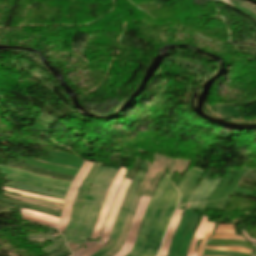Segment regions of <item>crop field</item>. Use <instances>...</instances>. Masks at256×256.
Masks as SVG:
<instances>
[{
	"label": "crop field",
	"instance_id": "crop-field-1",
	"mask_svg": "<svg viewBox=\"0 0 256 256\" xmlns=\"http://www.w3.org/2000/svg\"><path fill=\"white\" fill-rule=\"evenodd\" d=\"M202 174V170L195 168L188 170L176 189L173 186V182H169L157 205L146 243L137 256H156L174 209H184L192 190Z\"/></svg>",
	"mask_w": 256,
	"mask_h": 256
},
{
	"label": "crop field",
	"instance_id": "crop-field-2",
	"mask_svg": "<svg viewBox=\"0 0 256 256\" xmlns=\"http://www.w3.org/2000/svg\"><path fill=\"white\" fill-rule=\"evenodd\" d=\"M118 170L103 167L90 188L89 195L83 204L77 227L67 244L72 251L84 244L89 238L98 211L102 205L106 190ZM73 253V252H72Z\"/></svg>",
	"mask_w": 256,
	"mask_h": 256
},
{
	"label": "crop field",
	"instance_id": "crop-field-3",
	"mask_svg": "<svg viewBox=\"0 0 256 256\" xmlns=\"http://www.w3.org/2000/svg\"><path fill=\"white\" fill-rule=\"evenodd\" d=\"M0 169L1 174L6 175L5 179L22 184H28L64 193H66V190L70 185L69 182L33 175L14 167L0 165Z\"/></svg>",
	"mask_w": 256,
	"mask_h": 256
},
{
	"label": "crop field",
	"instance_id": "crop-field-4",
	"mask_svg": "<svg viewBox=\"0 0 256 256\" xmlns=\"http://www.w3.org/2000/svg\"><path fill=\"white\" fill-rule=\"evenodd\" d=\"M143 175H144V172H140V171H138V173L136 174L134 180L132 181V183L130 184V186L127 190L124 203H123V205L119 211V214L117 216V219H116V222H115V225H114V228H113V231L110 236L108 244L104 248H102L98 252H96L93 256H102L107 251H109L111 248H113L114 244L117 242L123 222L125 220V217H126V214H127L128 208H129V205L131 203L134 191Z\"/></svg>",
	"mask_w": 256,
	"mask_h": 256
},
{
	"label": "crop field",
	"instance_id": "crop-field-5",
	"mask_svg": "<svg viewBox=\"0 0 256 256\" xmlns=\"http://www.w3.org/2000/svg\"><path fill=\"white\" fill-rule=\"evenodd\" d=\"M171 177L172 176L164 175L163 179L161 180L160 184L158 185V187L150 201V204L148 206V209H147L146 215L144 217L142 226L140 228L138 237L136 239L135 245H134L131 253L127 256H136L139 253V251L141 250V248L143 247V245L145 243L146 235H147V232H148V229L150 226L153 212L156 208V205L162 195V192H163L165 186L170 181Z\"/></svg>",
	"mask_w": 256,
	"mask_h": 256
},
{
	"label": "crop field",
	"instance_id": "crop-field-6",
	"mask_svg": "<svg viewBox=\"0 0 256 256\" xmlns=\"http://www.w3.org/2000/svg\"><path fill=\"white\" fill-rule=\"evenodd\" d=\"M129 183H130V180L125 178L124 181L122 182L121 186L119 187V192L117 191L118 192L117 197H116V199L113 203V206L111 208V211L106 219V224L104 226L103 235H102L100 241L94 247L89 249L87 252H85L81 256H91L94 252L99 250L101 247H103L107 243L111 229H112L114 219H115L117 211L122 203L123 197L125 195V192H126V189L129 185ZM101 240H103L104 243L100 244Z\"/></svg>",
	"mask_w": 256,
	"mask_h": 256
},
{
	"label": "crop field",
	"instance_id": "crop-field-7",
	"mask_svg": "<svg viewBox=\"0 0 256 256\" xmlns=\"http://www.w3.org/2000/svg\"><path fill=\"white\" fill-rule=\"evenodd\" d=\"M102 165L99 164H95L94 167L92 168V170L90 171V173L88 174L85 182L83 183V185L81 186L80 190L84 191V193H80V190L74 200V204H73V210H72V215H71V219L70 222L63 234L65 240H67L72 232L73 229L76 225L77 219L79 217L80 214V209H81V205L87 195V190L92 182V180L96 177L97 173L99 172V170L101 169Z\"/></svg>",
	"mask_w": 256,
	"mask_h": 256
},
{
	"label": "crop field",
	"instance_id": "crop-field-8",
	"mask_svg": "<svg viewBox=\"0 0 256 256\" xmlns=\"http://www.w3.org/2000/svg\"><path fill=\"white\" fill-rule=\"evenodd\" d=\"M221 181V178L215 177L213 181L203 177L198 186L194 189L191 198L185 209H203L210 194Z\"/></svg>",
	"mask_w": 256,
	"mask_h": 256
},
{
	"label": "crop field",
	"instance_id": "crop-field-9",
	"mask_svg": "<svg viewBox=\"0 0 256 256\" xmlns=\"http://www.w3.org/2000/svg\"><path fill=\"white\" fill-rule=\"evenodd\" d=\"M93 165H94V163L87 162V161L85 162V164L82 166L80 172L76 176L74 182L72 183V185L67 193L63 214H62V217H61L59 225H58V229H59L60 233L63 232V230L68 222L72 203H73V200L77 193V189L79 188L81 182L86 177V175L88 174V172L90 171V169L92 168Z\"/></svg>",
	"mask_w": 256,
	"mask_h": 256
},
{
	"label": "crop field",
	"instance_id": "crop-field-10",
	"mask_svg": "<svg viewBox=\"0 0 256 256\" xmlns=\"http://www.w3.org/2000/svg\"><path fill=\"white\" fill-rule=\"evenodd\" d=\"M127 169L125 168H120L118 174L116 175L109 191H108V194L106 196V199L103 203V206H102V209L100 211V214H99V217H98V220H97V224H96V227H95V230L93 232V235L91 237V239H96L97 237H100L102 231H103V224H104V220L110 210V207L114 201V197H115V193H116V190L125 174Z\"/></svg>",
	"mask_w": 256,
	"mask_h": 256
},
{
	"label": "crop field",
	"instance_id": "crop-field-11",
	"mask_svg": "<svg viewBox=\"0 0 256 256\" xmlns=\"http://www.w3.org/2000/svg\"><path fill=\"white\" fill-rule=\"evenodd\" d=\"M142 197L143 196H139V195H135L134 200L132 202V205L130 207V210L128 212V215L126 217L125 223L123 225L119 240L117 242V244L115 245V247L113 249H111L106 255L104 256H114L116 255L120 249L123 247L125 240L128 236L132 221L135 217V214L139 208V205L142 201Z\"/></svg>",
	"mask_w": 256,
	"mask_h": 256
},
{
	"label": "crop field",
	"instance_id": "crop-field-12",
	"mask_svg": "<svg viewBox=\"0 0 256 256\" xmlns=\"http://www.w3.org/2000/svg\"><path fill=\"white\" fill-rule=\"evenodd\" d=\"M214 223L207 222V217L202 216V219L200 221L199 227L193 237L191 246L189 248L187 256H201L202 255V248L204 245V242L210 237ZM215 228V227H214ZM201 243L199 244L198 251L195 254V248H196V243L198 240L202 239Z\"/></svg>",
	"mask_w": 256,
	"mask_h": 256
},
{
	"label": "crop field",
	"instance_id": "crop-field-13",
	"mask_svg": "<svg viewBox=\"0 0 256 256\" xmlns=\"http://www.w3.org/2000/svg\"><path fill=\"white\" fill-rule=\"evenodd\" d=\"M21 217L25 221L35 222L56 229L60 218L21 209Z\"/></svg>",
	"mask_w": 256,
	"mask_h": 256
},
{
	"label": "crop field",
	"instance_id": "crop-field-14",
	"mask_svg": "<svg viewBox=\"0 0 256 256\" xmlns=\"http://www.w3.org/2000/svg\"><path fill=\"white\" fill-rule=\"evenodd\" d=\"M181 213H182V211H179V210L175 211L174 216L169 225V228L164 236L163 244H162V247L160 249V253L158 256H166L167 255L171 237L180 221Z\"/></svg>",
	"mask_w": 256,
	"mask_h": 256
},
{
	"label": "crop field",
	"instance_id": "crop-field-15",
	"mask_svg": "<svg viewBox=\"0 0 256 256\" xmlns=\"http://www.w3.org/2000/svg\"><path fill=\"white\" fill-rule=\"evenodd\" d=\"M9 165H13V166H17L19 168H22L24 170H27L29 172H32L34 174H38V175H43V176H47V177H52V178H58V179H63V180H69L72 181L73 177L71 176H66V175H61V174H56V173H51V172H47L26 164H22V163H18V162H14V161H9L8 163Z\"/></svg>",
	"mask_w": 256,
	"mask_h": 256
},
{
	"label": "crop field",
	"instance_id": "crop-field-16",
	"mask_svg": "<svg viewBox=\"0 0 256 256\" xmlns=\"http://www.w3.org/2000/svg\"><path fill=\"white\" fill-rule=\"evenodd\" d=\"M6 185L16 187V188H19V189H23V190H27V191H31V192H35V193H40V194L52 196V197L62 198V199H64V196H65L64 194L51 192V191H47V190H43V189H39V188H34V187H30V186L10 182V181Z\"/></svg>",
	"mask_w": 256,
	"mask_h": 256
},
{
	"label": "crop field",
	"instance_id": "crop-field-17",
	"mask_svg": "<svg viewBox=\"0 0 256 256\" xmlns=\"http://www.w3.org/2000/svg\"><path fill=\"white\" fill-rule=\"evenodd\" d=\"M229 229V230H223ZM215 234L236 235L235 225H218Z\"/></svg>",
	"mask_w": 256,
	"mask_h": 256
},
{
	"label": "crop field",
	"instance_id": "crop-field-18",
	"mask_svg": "<svg viewBox=\"0 0 256 256\" xmlns=\"http://www.w3.org/2000/svg\"><path fill=\"white\" fill-rule=\"evenodd\" d=\"M205 249H213V250H225V251H239V252H244L251 254L252 251L246 248H241V247H215V246H206Z\"/></svg>",
	"mask_w": 256,
	"mask_h": 256
},
{
	"label": "crop field",
	"instance_id": "crop-field-19",
	"mask_svg": "<svg viewBox=\"0 0 256 256\" xmlns=\"http://www.w3.org/2000/svg\"><path fill=\"white\" fill-rule=\"evenodd\" d=\"M53 253L59 256H68L69 254H71L65 244L61 248L54 251Z\"/></svg>",
	"mask_w": 256,
	"mask_h": 256
},
{
	"label": "crop field",
	"instance_id": "crop-field-20",
	"mask_svg": "<svg viewBox=\"0 0 256 256\" xmlns=\"http://www.w3.org/2000/svg\"><path fill=\"white\" fill-rule=\"evenodd\" d=\"M97 242H87L84 246H82L79 250H77L75 253H73V256H80L83 252H85L87 249H89L91 246H93ZM87 246L85 249L84 247Z\"/></svg>",
	"mask_w": 256,
	"mask_h": 256
},
{
	"label": "crop field",
	"instance_id": "crop-field-21",
	"mask_svg": "<svg viewBox=\"0 0 256 256\" xmlns=\"http://www.w3.org/2000/svg\"><path fill=\"white\" fill-rule=\"evenodd\" d=\"M211 239H238L243 240L245 239L242 236H222V235H214Z\"/></svg>",
	"mask_w": 256,
	"mask_h": 256
},
{
	"label": "crop field",
	"instance_id": "crop-field-22",
	"mask_svg": "<svg viewBox=\"0 0 256 256\" xmlns=\"http://www.w3.org/2000/svg\"><path fill=\"white\" fill-rule=\"evenodd\" d=\"M243 234L248 239L249 242L256 243V240H253V239H251L250 237L247 236L245 229L243 230Z\"/></svg>",
	"mask_w": 256,
	"mask_h": 256
},
{
	"label": "crop field",
	"instance_id": "crop-field-23",
	"mask_svg": "<svg viewBox=\"0 0 256 256\" xmlns=\"http://www.w3.org/2000/svg\"><path fill=\"white\" fill-rule=\"evenodd\" d=\"M250 244L256 249V245L255 244H252V243H250ZM254 254H256V251H255Z\"/></svg>",
	"mask_w": 256,
	"mask_h": 256
},
{
	"label": "crop field",
	"instance_id": "crop-field-24",
	"mask_svg": "<svg viewBox=\"0 0 256 256\" xmlns=\"http://www.w3.org/2000/svg\"><path fill=\"white\" fill-rule=\"evenodd\" d=\"M70 256H72V255H70Z\"/></svg>",
	"mask_w": 256,
	"mask_h": 256
},
{
	"label": "crop field",
	"instance_id": "crop-field-25",
	"mask_svg": "<svg viewBox=\"0 0 256 256\" xmlns=\"http://www.w3.org/2000/svg\"><path fill=\"white\" fill-rule=\"evenodd\" d=\"M253 256V255H252Z\"/></svg>",
	"mask_w": 256,
	"mask_h": 256
}]
</instances>
